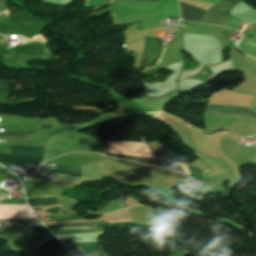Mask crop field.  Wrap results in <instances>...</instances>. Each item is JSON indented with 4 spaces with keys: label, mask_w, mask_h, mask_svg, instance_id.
Wrapping results in <instances>:
<instances>
[{
    "label": "crop field",
    "mask_w": 256,
    "mask_h": 256,
    "mask_svg": "<svg viewBox=\"0 0 256 256\" xmlns=\"http://www.w3.org/2000/svg\"><path fill=\"white\" fill-rule=\"evenodd\" d=\"M239 2L241 0H221L206 11L201 22L225 25L231 10ZM241 22V20L230 15L225 26L237 30Z\"/></svg>",
    "instance_id": "8a807250"
},
{
    "label": "crop field",
    "mask_w": 256,
    "mask_h": 256,
    "mask_svg": "<svg viewBox=\"0 0 256 256\" xmlns=\"http://www.w3.org/2000/svg\"><path fill=\"white\" fill-rule=\"evenodd\" d=\"M147 145L155 159L128 156V155L109 154V153H105V154L109 156L129 159V160H133V161H137V162H141L149 165H155L158 167L172 169V170H176L178 172L183 173L181 166L174 161L172 154L168 150H166L164 147L154 150L151 147L150 143H147Z\"/></svg>",
    "instance_id": "ac0d7876"
},
{
    "label": "crop field",
    "mask_w": 256,
    "mask_h": 256,
    "mask_svg": "<svg viewBox=\"0 0 256 256\" xmlns=\"http://www.w3.org/2000/svg\"><path fill=\"white\" fill-rule=\"evenodd\" d=\"M145 38V46L143 49L140 67H153L156 65L158 59L163 52L162 39Z\"/></svg>",
    "instance_id": "34b2d1b8"
},
{
    "label": "crop field",
    "mask_w": 256,
    "mask_h": 256,
    "mask_svg": "<svg viewBox=\"0 0 256 256\" xmlns=\"http://www.w3.org/2000/svg\"><path fill=\"white\" fill-rule=\"evenodd\" d=\"M206 114L239 116L256 121V113L251 108L208 106Z\"/></svg>",
    "instance_id": "412701ff"
},
{
    "label": "crop field",
    "mask_w": 256,
    "mask_h": 256,
    "mask_svg": "<svg viewBox=\"0 0 256 256\" xmlns=\"http://www.w3.org/2000/svg\"><path fill=\"white\" fill-rule=\"evenodd\" d=\"M43 156H25L0 153V163L3 165L23 166L26 164L38 165L42 162Z\"/></svg>",
    "instance_id": "f4fd0767"
},
{
    "label": "crop field",
    "mask_w": 256,
    "mask_h": 256,
    "mask_svg": "<svg viewBox=\"0 0 256 256\" xmlns=\"http://www.w3.org/2000/svg\"><path fill=\"white\" fill-rule=\"evenodd\" d=\"M180 5L182 18L185 20L199 22L205 12V10L181 2Z\"/></svg>",
    "instance_id": "dd49c442"
},
{
    "label": "crop field",
    "mask_w": 256,
    "mask_h": 256,
    "mask_svg": "<svg viewBox=\"0 0 256 256\" xmlns=\"http://www.w3.org/2000/svg\"><path fill=\"white\" fill-rule=\"evenodd\" d=\"M63 246L61 242H59L54 236L50 239L46 240L44 243H42L40 246H38L31 256H45L50 251Z\"/></svg>",
    "instance_id": "e52e79f7"
},
{
    "label": "crop field",
    "mask_w": 256,
    "mask_h": 256,
    "mask_svg": "<svg viewBox=\"0 0 256 256\" xmlns=\"http://www.w3.org/2000/svg\"><path fill=\"white\" fill-rule=\"evenodd\" d=\"M119 163L124 164V165L129 166V167H132V168L153 171V172L161 173V174H164V175H167V176L188 178V177H186V176H184L180 173L166 171V170L157 169V168H153V167H148V166H144V165H140V164H136V163H132V162H128V161L120 160Z\"/></svg>",
    "instance_id": "d8731c3e"
},
{
    "label": "crop field",
    "mask_w": 256,
    "mask_h": 256,
    "mask_svg": "<svg viewBox=\"0 0 256 256\" xmlns=\"http://www.w3.org/2000/svg\"><path fill=\"white\" fill-rule=\"evenodd\" d=\"M8 233H48L49 231L43 225L34 226H7Z\"/></svg>",
    "instance_id": "5a996713"
},
{
    "label": "crop field",
    "mask_w": 256,
    "mask_h": 256,
    "mask_svg": "<svg viewBox=\"0 0 256 256\" xmlns=\"http://www.w3.org/2000/svg\"><path fill=\"white\" fill-rule=\"evenodd\" d=\"M45 147H29L10 145L11 153L43 155Z\"/></svg>",
    "instance_id": "3316defc"
},
{
    "label": "crop field",
    "mask_w": 256,
    "mask_h": 256,
    "mask_svg": "<svg viewBox=\"0 0 256 256\" xmlns=\"http://www.w3.org/2000/svg\"><path fill=\"white\" fill-rule=\"evenodd\" d=\"M54 172L81 177L80 168L75 166L56 164Z\"/></svg>",
    "instance_id": "28ad6ade"
},
{
    "label": "crop field",
    "mask_w": 256,
    "mask_h": 256,
    "mask_svg": "<svg viewBox=\"0 0 256 256\" xmlns=\"http://www.w3.org/2000/svg\"><path fill=\"white\" fill-rule=\"evenodd\" d=\"M30 206H40V205H54L56 204L55 198L45 197V198H32L27 199Z\"/></svg>",
    "instance_id": "d1516ede"
},
{
    "label": "crop field",
    "mask_w": 256,
    "mask_h": 256,
    "mask_svg": "<svg viewBox=\"0 0 256 256\" xmlns=\"http://www.w3.org/2000/svg\"><path fill=\"white\" fill-rule=\"evenodd\" d=\"M244 52L256 57V42L246 39L239 46Z\"/></svg>",
    "instance_id": "22f410ed"
},
{
    "label": "crop field",
    "mask_w": 256,
    "mask_h": 256,
    "mask_svg": "<svg viewBox=\"0 0 256 256\" xmlns=\"http://www.w3.org/2000/svg\"><path fill=\"white\" fill-rule=\"evenodd\" d=\"M104 220L93 222V223H73V224H60V225H49V228H61V227H76V226H96L100 224H105ZM47 227V228H48Z\"/></svg>",
    "instance_id": "cbeb9de0"
},
{
    "label": "crop field",
    "mask_w": 256,
    "mask_h": 256,
    "mask_svg": "<svg viewBox=\"0 0 256 256\" xmlns=\"http://www.w3.org/2000/svg\"><path fill=\"white\" fill-rule=\"evenodd\" d=\"M78 246L83 253L102 249V247L99 246L97 243H79Z\"/></svg>",
    "instance_id": "5142ce71"
},
{
    "label": "crop field",
    "mask_w": 256,
    "mask_h": 256,
    "mask_svg": "<svg viewBox=\"0 0 256 256\" xmlns=\"http://www.w3.org/2000/svg\"><path fill=\"white\" fill-rule=\"evenodd\" d=\"M35 131L32 132H0V137H6V136H27L31 133H33Z\"/></svg>",
    "instance_id": "d9b57169"
},
{
    "label": "crop field",
    "mask_w": 256,
    "mask_h": 256,
    "mask_svg": "<svg viewBox=\"0 0 256 256\" xmlns=\"http://www.w3.org/2000/svg\"><path fill=\"white\" fill-rule=\"evenodd\" d=\"M71 233H104L103 231H96V230H82V231H63V232H56L55 235L59 234H71Z\"/></svg>",
    "instance_id": "733c2abd"
},
{
    "label": "crop field",
    "mask_w": 256,
    "mask_h": 256,
    "mask_svg": "<svg viewBox=\"0 0 256 256\" xmlns=\"http://www.w3.org/2000/svg\"><path fill=\"white\" fill-rule=\"evenodd\" d=\"M0 92H2V93H9L10 92V88L8 87L6 82H1L0 81Z\"/></svg>",
    "instance_id": "4a817a6b"
},
{
    "label": "crop field",
    "mask_w": 256,
    "mask_h": 256,
    "mask_svg": "<svg viewBox=\"0 0 256 256\" xmlns=\"http://www.w3.org/2000/svg\"><path fill=\"white\" fill-rule=\"evenodd\" d=\"M103 253L104 252L101 250V251L92 252V253L78 254L77 256H97V255H101Z\"/></svg>",
    "instance_id": "bc2a9ffb"
},
{
    "label": "crop field",
    "mask_w": 256,
    "mask_h": 256,
    "mask_svg": "<svg viewBox=\"0 0 256 256\" xmlns=\"http://www.w3.org/2000/svg\"><path fill=\"white\" fill-rule=\"evenodd\" d=\"M63 177L68 178V179H72V180H82V179H79V178H74V177L65 176V175H63Z\"/></svg>",
    "instance_id": "214f88e0"
},
{
    "label": "crop field",
    "mask_w": 256,
    "mask_h": 256,
    "mask_svg": "<svg viewBox=\"0 0 256 256\" xmlns=\"http://www.w3.org/2000/svg\"><path fill=\"white\" fill-rule=\"evenodd\" d=\"M180 164H181V163H180ZM181 165H182V167H183V169H184L185 173L189 174V172H188V170H187L186 166H185L184 164H181Z\"/></svg>",
    "instance_id": "92a150f3"
},
{
    "label": "crop field",
    "mask_w": 256,
    "mask_h": 256,
    "mask_svg": "<svg viewBox=\"0 0 256 256\" xmlns=\"http://www.w3.org/2000/svg\"><path fill=\"white\" fill-rule=\"evenodd\" d=\"M142 1H158V0H142Z\"/></svg>",
    "instance_id": "dafd665d"
}]
</instances>
